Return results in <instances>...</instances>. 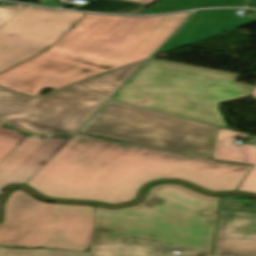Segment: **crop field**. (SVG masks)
Wrapping results in <instances>:
<instances>
[{
	"label": "crop field",
	"mask_w": 256,
	"mask_h": 256,
	"mask_svg": "<svg viewBox=\"0 0 256 256\" xmlns=\"http://www.w3.org/2000/svg\"><path fill=\"white\" fill-rule=\"evenodd\" d=\"M83 15L25 6L0 28V72L50 48Z\"/></svg>",
	"instance_id": "d8731c3e"
},
{
	"label": "crop field",
	"mask_w": 256,
	"mask_h": 256,
	"mask_svg": "<svg viewBox=\"0 0 256 256\" xmlns=\"http://www.w3.org/2000/svg\"><path fill=\"white\" fill-rule=\"evenodd\" d=\"M236 77L150 59L111 99L227 128L218 105L253 90Z\"/></svg>",
	"instance_id": "412701ff"
},
{
	"label": "crop field",
	"mask_w": 256,
	"mask_h": 256,
	"mask_svg": "<svg viewBox=\"0 0 256 256\" xmlns=\"http://www.w3.org/2000/svg\"><path fill=\"white\" fill-rule=\"evenodd\" d=\"M96 207L50 204L23 190L6 200L0 245L85 251L91 244Z\"/></svg>",
	"instance_id": "dd49c442"
},
{
	"label": "crop field",
	"mask_w": 256,
	"mask_h": 256,
	"mask_svg": "<svg viewBox=\"0 0 256 256\" xmlns=\"http://www.w3.org/2000/svg\"><path fill=\"white\" fill-rule=\"evenodd\" d=\"M250 168L78 134L26 185L47 198L120 204L136 199L145 183L164 178L233 191Z\"/></svg>",
	"instance_id": "8a807250"
},
{
	"label": "crop field",
	"mask_w": 256,
	"mask_h": 256,
	"mask_svg": "<svg viewBox=\"0 0 256 256\" xmlns=\"http://www.w3.org/2000/svg\"><path fill=\"white\" fill-rule=\"evenodd\" d=\"M71 138L26 137L0 163V191L10 184H25Z\"/></svg>",
	"instance_id": "5a996713"
},
{
	"label": "crop field",
	"mask_w": 256,
	"mask_h": 256,
	"mask_svg": "<svg viewBox=\"0 0 256 256\" xmlns=\"http://www.w3.org/2000/svg\"><path fill=\"white\" fill-rule=\"evenodd\" d=\"M215 217L148 192L137 206L97 207L89 253L0 247V256H210Z\"/></svg>",
	"instance_id": "34b2d1b8"
},
{
	"label": "crop field",
	"mask_w": 256,
	"mask_h": 256,
	"mask_svg": "<svg viewBox=\"0 0 256 256\" xmlns=\"http://www.w3.org/2000/svg\"><path fill=\"white\" fill-rule=\"evenodd\" d=\"M28 97L0 87V120L28 133L73 134L142 63Z\"/></svg>",
	"instance_id": "f4fd0767"
},
{
	"label": "crop field",
	"mask_w": 256,
	"mask_h": 256,
	"mask_svg": "<svg viewBox=\"0 0 256 256\" xmlns=\"http://www.w3.org/2000/svg\"><path fill=\"white\" fill-rule=\"evenodd\" d=\"M147 4L123 1V0H87V4L76 7L79 10L122 13V14H136Z\"/></svg>",
	"instance_id": "cbeb9de0"
},
{
	"label": "crop field",
	"mask_w": 256,
	"mask_h": 256,
	"mask_svg": "<svg viewBox=\"0 0 256 256\" xmlns=\"http://www.w3.org/2000/svg\"><path fill=\"white\" fill-rule=\"evenodd\" d=\"M218 238V237H217ZM222 239H227V238H222ZM232 240H241V239H232Z\"/></svg>",
	"instance_id": "214f88e0"
},
{
	"label": "crop field",
	"mask_w": 256,
	"mask_h": 256,
	"mask_svg": "<svg viewBox=\"0 0 256 256\" xmlns=\"http://www.w3.org/2000/svg\"><path fill=\"white\" fill-rule=\"evenodd\" d=\"M0 123V162L25 138L12 130L1 127Z\"/></svg>",
	"instance_id": "5142ce71"
},
{
	"label": "crop field",
	"mask_w": 256,
	"mask_h": 256,
	"mask_svg": "<svg viewBox=\"0 0 256 256\" xmlns=\"http://www.w3.org/2000/svg\"><path fill=\"white\" fill-rule=\"evenodd\" d=\"M32 136H36V137H40V138L44 137V135H32Z\"/></svg>",
	"instance_id": "bc2a9ffb"
},
{
	"label": "crop field",
	"mask_w": 256,
	"mask_h": 256,
	"mask_svg": "<svg viewBox=\"0 0 256 256\" xmlns=\"http://www.w3.org/2000/svg\"><path fill=\"white\" fill-rule=\"evenodd\" d=\"M217 130L108 101L79 132L211 159Z\"/></svg>",
	"instance_id": "e52e79f7"
},
{
	"label": "crop field",
	"mask_w": 256,
	"mask_h": 256,
	"mask_svg": "<svg viewBox=\"0 0 256 256\" xmlns=\"http://www.w3.org/2000/svg\"><path fill=\"white\" fill-rule=\"evenodd\" d=\"M251 96L254 97V98H256V88L254 89V91H253V93H252Z\"/></svg>",
	"instance_id": "4a817a6b"
},
{
	"label": "crop field",
	"mask_w": 256,
	"mask_h": 256,
	"mask_svg": "<svg viewBox=\"0 0 256 256\" xmlns=\"http://www.w3.org/2000/svg\"><path fill=\"white\" fill-rule=\"evenodd\" d=\"M129 1H135V2H141V3L151 4V3L154 2L155 0H129Z\"/></svg>",
	"instance_id": "733c2abd"
},
{
	"label": "crop field",
	"mask_w": 256,
	"mask_h": 256,
	"mask_svg": "<svg viewBox=\"0 0 256 256\" xmlns=\"http://www.w3.org/2000/svg\"><path fill=\"white\" fill-rule=\"evenodd\" d=\"M149 190L200 212L217 211L219 197L201 195L181 185L161 184Z\"/></svg>",
	"instance_id": "d1516ede"
},
{
	"label": "crop field",
	"mask_w": 256,
	"mask_h": 256,
	"mask_svg": "<svg viewBox=\"0 0 256 256\" xmlns=\"http://www.w3.org/2000/svg\"><path fill=\"white\" fill-rule=\"evenodd\" d=\"M189 13L85 14L50 49L0 73V86L32 96L147 59Z\"/></svg>",
	"instance_id": "ac0d7876"
},
{
	"label": "crop field",
	"mask_w": 256,
	"mask_h": 256,
	"mask_svg": "<svg viewBox=\"0 0 256 256\" xmlns=\"http://www.w3.org/2000/svg\"><path fill=\"white\" fill-rule=\"evenodd\" d=\"M248 135L219 128L212 159L245 162L253 165L237 191L256 193V145H233L235 138Z\"/></svg>",
	"instance_id": "28ad6ade"
},
{
	"label": "crop field",
	"mask_w": 256,
	"mask_h": 256,
	"mask_svg": "<svg viewBox=\"0 0 256 256\" xmlns=\"http://www.w3.org/2000/svg\"><path fill=\"white\" fill-rule=\"evenodd\" d=\"M246 0H161L139 13H162L209 6H244ZM138 13V14H139Z\"/></svg>",
	"instance_id": "22f410ed"
},
{
	"label": "crop field",
	"mask_w": 256,
	"mask_h": 256,
	"mask_svg": "<svg viewBox=\"0 0 256 256\" xmlns=\"http://www.w3.org/2000/svg\"><path fill=\"white\" fill-rule=\"evenodd\" d=\"M23 7L24 6L8 5L4 8H0V27Z\"/></svg>",
	"instance_id": "d9b57169"
},
{
	"label": "crop field",
	"mask_w": 256,
	"mask_h": 256,
	"mask_svg": "<svg viewBox=\"0 0 256 256\" xmlns=\"http://www.w3.org/2000/svg\"><path fill=\"white\" fill-rule=\"evenodd\" d=\"M214 256H256V214L221 210Z\"/></svg>",
	"instance_id": "3316defc"
}]
</instances>
